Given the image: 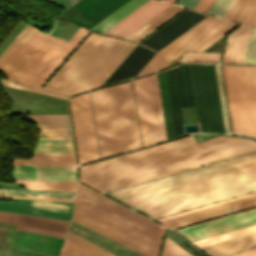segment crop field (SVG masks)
<instances>
[{
  "label": "crop field",
  "instance_id": "1",
  "mask_svg": "<svg viewBox=\"0 0 256 256\" xmlns=\"http://www.w3.org/2000/svg\"><path fill=\"white\" fill-rule=\"evenodd\" d=\"M256 191V152L105 193L152 219Z\"/></svg>",
  "mask_w": 256,
  "mask_h": 256
},
{
  "label": "crop field",
  "instance_id": "2",
  "mask_svg": "<svg viewBox=\"0 0 256 256\" xmlns=\"http://www.w3.org/2000/svg\"><path fill=\"white\" fill-rule=\"evenodd\" d=\"M135 45L91 33L44 89L72 96L99 87Z\"/></svg>",
  "mask_w": 256,
  "mask_h": 256
},
{
  "label": "crop field",
  "instance_id": "3",
  "mask_svg": "<svg viewBox=\"0 0 256 256\" xmlns=\"http://www.w3.org/2000/svg\"><path fill=\"white\" fill-rule=\"evenodd\" d=\"M120 152L140 148L131 81L110 87ZM109 87L90 93L100 156L119 152Z\"/></svg>",
  "mask_w": 256,
  "mask_h": 256
},
{
  "label": "crop field",
  "instance_id": "4",
  "mask_svg": "<svg viewBox=\"0 0 256 256\" xmlns=\"http://www.w3.org/2000/svg\"><path fill=\"white\" fill-rule=\"evenodd\" d=\"M87 32L80 27L66 42L34 28L2 63L0 71L12 80L40 87Z\"/></svg>",
  "mask_w": 256,
  "mask_h": 256
},
{
  "label": "crop field",
  "instance_id": "5",
  "mask_svg": "<svg viewBox=\"0 0 256 256\" xmlns=\"http://www.w3.org/2000/svg\"><path fill=\"white\" fill-rule=\"evenodd\" d=\"M244 140L220 136L196 144L190 136L81 166L80 181L87 184Z\"/></svg>",
  "mask_w": 256,
  "mask_h": 256
},
{
  "label": "crop field",
  "instance_id": "6",
  "mask_svg": "<svg viewBox=\"0 0 256 256\" xmlns=\"http://www.w3.org/2000/svg\"><path fill=\"white\" fill-rule=\"evenodd\" d=\"M255 150L256 142L248 140L87 185L104 193Z\"/></svg>",
  "mask_w": 256,
  "mask_h": 256
},
{
  "label": "crop field",
  "instance_id": "7",
  "mask_svg": "<svg viewBox=\"0 0 256 256\" xmlns=\"http://www.w3.org/2000/svg\"><path fill=\"white\" fill-rule=\"evenodd\" d=\"M222 68L233 134L256 138V66Z\"/></svg>",
  "mask_w": 256,
  "mask_h": 256
},
{
  "label": "crop field",
  "instance_id": "8",
  "mask_svg": "<svg viewBox=\"0 0 256 256\" xmlns=\"http://www.w3.org/2000/svg\"><path fill=\"white\" fill-rule=\"evenodd\" d=\"M196 107L189 108L200 133H225L214 64H189ZM186 109L188 123L189 115ZM183 123H187L183 108Z\"/></svg>",
  "mask_w": 256,
  "mask_h": 256
},
{
  "label": "crop field",
  "instance_id": "9",
  "mask_svg": "<svg viewBox=\"0 0 256 256\" xmlns=\"http://www.w3.org/2000/svg\"><path fill=\"white\" fill-rule=\"evenodd\" d=\"M206 14L184 10L142 43L125 59L103 85L133 78L152 56L166 44L203 19ZM102 85V86H103Z\"/></svg>",
  "mask_w": 256,
  "mask_h": 256
},
{
  "label": "crop field",
  "instance_id": "10",
  "mask_svg": "<svg viewBox=\"0 0 256 256\" xmlns=\"http://www.w3.org/2000/svg\"><path fill=\"white\" fill-rule=\"evenodd\" d=\"M238 24L207 16L188 31L165 46L146 64L139 75L168 66L170 61L185 51H202L234 29ZM173 61V60H172Z\"/></svg>",
  "mask_w": 256,
  "mask_h": 256
},
{
  "label": "crop field",
  "instance_id": "11",
  "mask_svg": "<svg viewBox=\"0 0 256 256\" xmlns=\"http://www.w3.org/2000/svg\"><path fill=\"white\" fill-rule=\"evenodd\" d=\"M72 220L145 256H158L160 243L76 201Z\"/></svg>",
  "mask_w": 256,
  "mask_h": 256
},
{
  "label": "crop field",
  "instance_id": "12",
  "mask_svg": "<svg viewBox=\"0 0 256 256\" xmlns=\"http://www.w3.org/2000/svg\"><path fill=\"white\" fill-rule=\"evenodd\" d=\"M143 146L165 141L156 73L133 81Z\"/></svg>",
  "mask_w": 256,
  "mask_h": 256
},
{
  "label": "crop field",
  "instance_id": "13",
  "mask_svg": "<svg viewBox=\"0 0 256 256\" xmlns=\"http://www.w3.org/2000/svg\"><path fill=\"white\" fill-rule=\"evenodd\" d=\"M76 201L161 243L164 227L77 185Z\"/></svg>",
  "mask_w": 256,
  "mask_h": 256
},
{
  "label": "crop field",
  "instance_id": "14",
  "mask_svg": "<svg viewBox=\"0 0 256 256\" xmlns=\"http://www.w3.org/2000/svg\"><path fill=\"white\" fill-rule=\"evenodd\" d=\"M79 162L99 158L88 93L69 99Z\"/></svg>",
  "mask_w": 256,
  "mask_h": 256
},
{
  "label": "crop field",
  "instance_id": "15",
  "mask_svg": "<svg viewBox=\"0 0 256 256\" xmlns=\"http://www.w3.org/2000/svg\"><path fill=\"white\" fill-rule=\"evenodd\" d=\"M168 139L182 136L183 125L174 69L158 73Z\"/></svg>",
  "mask_w": 256,
  "mask_h": 256
},
{
  "label": "crop field",
  "instance_id": "16",
  "mask_svg": "<svg viewBox=\"0 0 256 256\" xmlns=\"http://www.w3.org/2000/svg\"><path fill=\"white\" fill-rule=\"evenodd\" d=\"M0 198L18 200L0 201V211L51 217L70 221L73 203L4 197Z\"/></svg>",
  "mask_w": 256,
  "mask_h": 256
},
{
  "label": "crop field",
  "instance_id": "17",
  "mask_svg": "<svg viewBox=\"0 0 256 256\" xmlns=\"http://www.w3.org/2000/svg\"><path fill=\"white\" fill-rule=\"evenodd\" d=\"M256 223V209L176 230L190 241Z\"/></svg>",
  "mask_w": 256,
  "mask_h": 256
},
{
  "label": "crop field",
  "instance_id": "18",
  "mask_svg": "<svg viewBox=\"0 0 256 256\" xmlns=\"http://www.w3.org/2000/svg\"><path fill=\"white\" fill-rule=\"evenodd\" d=\"M63 240L64 239L61 238L48 237L12 229L5 244L58 255ZM2 249L29 256H44L6 247H3Z\"/></svg>",
  "mask_w": 256,
  "mask_h": 256
},
{
  "label": "crop field",
  "instance_id": "19",
  "mask_svg": "<svg viewBox=\"0 0 256 256\" xmlns=\"http://www.w3.org/2000/svg\"><path fill=\"white\" fill-rule=\"evenodd\" d=\"M254 206H256V195L161 222L174 229Z\"/></svg>",
  "mask_w": 256,
  "mask_h": 256
},
{
  "label": "crop field",
  "instance_id": "20",
  "mask_svg": "<svg viewBox=\"0 0 256 256\" xmlns=\"http://www.w3.org/2000/svg\"><path fill=\"white\" fill-rule=\"evenodd\" d=\"M169 5L170 4L156 0H149L147 3L107 30L105 34L125 38Z\"/></svg>",
  "mask_w": 256,
  "mask_h": 256
},
{
  "label": "crop field",
  "instance_id": "21",
  "mask_svg": "<svg viewBox=\"0 0 256 256\" xmlns=\"http://www.w3.org/2000/svg\"><path fill=\"white\" fill-rule=\"evenodd\" d=\"M12 177L76 182V169L13 165Z\"/></svg>",
  "mask_w": 256,
  "mask_h": 256
},
{
  "label": "crop field",
  "instance_id": "22",
  "mask_svg": "<svg viewBox=\"0 0 256 256\" xmlns=\"http://www.w3.org/2000/svg\"><path fill=\"white\" fill-rule=\"evenodd\" d=\"M34 123L39 136L71 137L68 115H22L17 116Z\"/></svg>",
  "mask_w": 256,
  "mask_h": 256
},
{
  "label": "crop field",
  "instance_id": "23",
  "mask_svg": "<svg viewBox=\"0 0 256 256\" xmlns=\"http://www.w3.org/2000/svg\"><path fill=\"white\" fill-rule=\"evenodd\" d=\"M78 236L100 246L115 256H141L75 222L72 221L70 230Z\"/></svg>",
  "mask_w": 256,
  "mask_h": 256
},
{
  "label": "crop field",
  "instance_id": "24",
  "mask_svg": "<svg viewBox=\"0 0 256 256\" xmlns=\"http://www.w3.org/2000/svg\"><path fill=\"white\" fill-rule=\"evenodd\" d=\"M0 221L34 226V227L64 232V233H66L70 223L68 221H62L57 219L34 217V216H27V215L6 213V212H2Z\"/></svg>",
  "mask_w": 256,
  "mask_h": 256
},
{
  "label": "crop field",
  "instance_id": "25",
  "mask_svg": "<svg viewBox=\"0 0 256 256\" xmlns=\"http://www.w3.org/2000/svg\"><path fill=\"white\" fill-rule=\"evenodd\" d=\"M251 28L242 26L228 40L223 63L242 64Z\"/></svg>",
  "mask_w": 256,
  "mask_h": 256
},
{
  "label": "crop field",
  "instance_id": "26",
  "mask_svg": "<svg viewBox=\"0 0 256 256\" xmlns=\"http://www.w3.org/2000/svg\"><path fill=\"white\" fill-rule=\"evenodd\" d=\"M253 246H256V232L201 249L211 256H225Z\"/></svg>",
  "mask_w": 256,
  "mask_h": 256
},
{
  "label": "crop field",
  "instance_id": "27",
  "mask_svg": "<svg viewBox=\"0 0 256 256\" xmlns=\"http://www.w3.org/2000/svg\"><path fill=\"white\" fill-rule=\"evenodd\" d=\"M224 19L256 26V0H234Z\"/></svg>",
  "mask_w": 256,
  "mask_h": 256
},
{
  "label": "crop field",
  "instance_id": "28",
  "mask_svg": "<svg viewBox=\"0 0 256 256\" xmlns=\"http://www.w3.org/2000/svg\"><path fill=\"white\" fill-rule=\"evenodd\" d=\"M32 153L74 155L71 138L40 137Z\"/></svg>",
  "mask_w": 256,
  "mask_h": 256
},
{
  "label": "crop field",
  "instance_id": "29",
  "mask_svg": "<svg viewBox=\"0 0 256 256\" xmlns=\"http://www.w3.org/2000/svg\"><path fill=\"white\" fill-rule=\"evenodd\" d=\"M174 69L181 107L195 106L188 64L182 63Z\"/></svg>",
  "mask_w": 256,
  "mask_h": 256
},
{
  "label": "crop field",
  "instance_id": "30",
  "mask_svg": "<svg viewBox=\"0 0 256 256\" xmlns=\"http://www.w3.org/2000/svg\"><path fill=\"white\" fill-rule=\"evenodd\" d=\"M13 164L76 168L74 156L34 154L30 160L14 159Z\"/></svg>",
  "mask_w": 256,
  "mask_h": 256
},
{
  "label": "crop field",
  "instance_id": "31",
  "mask_svg": "<svg viewBox=\"0 0 256 256\" xmlns=\"http://www.w3.org/2000/svg\"><path fill=\"white\" fill-rule=\"evenodd\" d=\"M146 1L130 0L90 29L103 33Z\"/></svg>",
  "mask_w": 256,
  "mask_h": 256
},
{
  "label": "crop field",
  "instance_id": "32",
  "mask_svg": "<svg viewBox=\"0 0 256 256\" xmlns=\"http://www.w3.org/2000/svg\"><path fill=\"white\" fill-rule=\"evenodd\" d=\"M16 182L29 189L41 190H57L75 192L76 183L69 182H53V181H37V180H21L15 179Z\"/></svg>",
  "mask_w": 256,
  "mask_h": 256
},
{
  "label": "crop field",
  "instance_id": "33",
  "mask_svg": "<svg viewBox=\"0 0 256 256\" xmlns=\"http://www.w3.org/2000/svg\"><path fill=\"white\" fill-rule=\"evenodd\" d=\"M253 231H256V224L250 225V226H247V227H243V228H239V229H236V230L228 231V232H225V233H221V234H218V235L210 236V237L203 238V239H200V240L192 241V243H194L196 246L201 248V247L213 244V243H217V242H220V241H223V240H226V239H229V238H233V237H236V236H239V235H243V234H246V233H250V232H253Z\"/></svg>",
  "mask_w": 256,
  "mask_h": 256
},
{
  "label": "crop field",
  "instance_id": "34",
  "mask_svg": "<svg viewBox=\"0 0 256 256\" xmlns=\"http://www.w3.org/2000/svg\"><path fill=\"white\" fill-rule=\"evenodd\" d=\"M0 194H13V195H28L60 199H74L75 194L70 193H57V192H41L31 190H17V189H0Z\"/></svg>",
  "mask_w": 256,
  "mask_h": 256
},
{
  "label": "crop field",
  "instance_id": "35",
  "mask_svg": "<svg viewBox=\"0 0 256 256\" xmlns=\"http://www.w3.org/2000/svg\"><path fill=\"white\" fill-rule=\"evenodd\" d=\"M182 9H183V7H179V6L174 7L168 13L163 15L161 18H159L154 23H152L150 26H148L143 31H141L136 36H134L131 40L136 41V42L141 41L143 38H145L147 35H149L151 32H153L155 29H157L159 26H161L163 23H165L167 20H169L171 17H173L175 14H177Z\"/></svg>",
  "mask_w": 256,
  "mask_h": 256
},
{
  "label": "crop field",
  "instance_id": "36",
  "mask_svg": "<svg viewBox=\"0 0 256 256\" xmlns=\"http://www.w3.org/2000/svg\"><path fill=\"white\" fill-rule=\"evenodd\" d=\"M66 239L80 245L81 247L95 253L98 256H113V255L109 254L108 252L98 248L97 246L89 243L88 241L74 235L71 232H68V235H67Z\"/></svg>",
  "mask_w": 256,
  "mask_h": 256
},
{
  "label": "crop field",
  "instance_id": "37",
  "mask_svg": "<svg viewBox=\"0 0 256 256\" xmlns=\"http://www.w3.org/2000/svg\"><path fill=\"white\" fill-rule=\"evenodd\" d=\"M161 256H194L191 253L187 252L175 242L166 238L164 249Z\"/></svg>",
  "mask_w": 256,
  "mask_h": 256
},
{
  "label": "crop field",
  "instance_id": "38",
  "mask_svg": "<svg viewBox=\"0 0 256 256\" xmlns=\"http://www.w3.org/2000/svg\"><path fill=\"white\" fill-rule=\"evenodd\" d=\"M243 64H256V29L251 30Z\"/></svg>",
  "mask_w": 256,
  "mask_h": 256
},
{
  "label": "crop field",
  "instance_id": "39",
  "mask_svg": "<svg viewBox=\"0 0 256 256\" xmlns=\"http://www.w3.org/2000/svg\"><path fill=\"white\" fill-rule=\"evenodd\" d=\"M32 29H33V27H31L28 24L25 26V28L20 32V34L13 40V42L0 55V65L10 55V53L20 44V42L28 35V33Z\"/></svg>",
  "mask_w": 256,
  "mask_h": 256
},
{
  "label": "crop field",
  "instance_id": "40",
  "mask_svg": "<svg viewBox=\"0 0 256 256\" xmlns=\"http://www.w3.org/2000/svg\"><path fill=\"white\" fill-rule=\"evenodd\" d=\"M232 1L233 0H216L207 13L223 18Z\"/></svg>",
  "mask_w": 256,
  "mask_h": 256
},
{
  "label": "crop field",
  "instance_id": "41",
  "mask_svg": "<svg viewBox=\"0 0 256 256\" xmlns=\"http://www.w3.org/2000/svg\"><path fill=\"white\" fill-rule=\"evenodd\" d=\"M255 194H256V192L245 194V195H242V196L234 197V198L227 199V200H224V201H221V202H217V203H214V204L202 206V207H199V208L191 209V210H188V211H184V212H181V213L173 214V215L166 216V217L159 218V219H155V220L161 221V220L169 219V218H172V217H176V216L187 214V213L194 212V211H197V210H201V209H205V208H208V207L216 206V205H219V204L234 201V200L241 199V198L248 197V196H252V195H255Z\"/></svg>",
  "mask_w": 256,
  "mask_h": 256
},
{
  "label": "crop field",
  "instance_id": "42",
  "mask_svg": "<svg viewBox=\"0 0 256 256\" xmlns=\"http://www.w3.org/2000/svg\"><path fill=\"white\" fill-rule=\"evenodd\" d=\"M62 250L66 251L74 256H96L68 240H65Z\"/></svg>",
  "mask_w": 256,
  "mask_h": 256
},
{
  "label": "crop field",
  "instance_id": "43",
  "mask_svg": "<svg viewBox=\"0 0 256 256\" xmlns=\"http://www.w3.org/2000/svg\"><path fill=\"white\" fill-rule=\"evenodd\" d=\"M1 81H2V84H4V85L13 86V87L21 88V89H26V90H30V91H35V92H39V93L48 94V95L57 96V97L67 99L66 96L54 94V93L47 92V91H44V90H41V89H37V88L17 84V83H14V82H11V81H8V80H4V79H1Z\"/></svg>",
  "mask_w": 256,
  "mask_h": 256
},
{
  "label": "crop field",
  "instance_id": "44",
  "mask_svg": "<svg viewBox=\"0 0 256 256\" xmlns=\"http://www.w3.org/2000/svg\"><path fill=\"white\" fill-rule=\"evenodd\" d=\"M17 229L24 230V231H29V232H34V233H39V234H44V235H48V236L61 237V238H64L65 235H66L64 233L53 232V231H48V230L23 226V225H19Z\"/></svg>",
  "mask_w": 256,
  "mask_h": 256
},
{
  "label": "crop field",
  "instance_id": "45",
  "mask_svg": "<svg viewBox=\"0 0 256 256\" xmlns=\"http://www.w3.org/2000/svg\"><path fill=\"white\" fill-rule=\"evenodd\" d=\"M215 67H216V73H217V79H218V86H219V92H220V98H221V105H222V111H223V118H224L225 130H226V133H229L228 123H227V117H226V111H225V105H224V99H223L222 88H221V82H220L219 69H218V66H217V65H215Z\"/></svg>",
  "mask_w": 256,
  "mask_h": 256
},
{
  "label": "crop field",
  "instance_id": "46",
  "mask_svg": "<svg viewBox=\"0 0 256 256\" xmlns=\"http://www.w3.org/2000/svg\"><path fill=\"white\" fill-rule=\"evenodd\" d=\"M174 7V5L169 6L167 9H165L164 11H162L161 13H159L157 16H155L154 18H152L150 21H148L147 23H145L143 26H141L140 28H138L137 30H135L133 33H131L128 37H126L127 39L132 38L134 35H136L138 32H140L141 30H143L145 27H147L148 25H150L152 22H154L156 19H158L159 17H161L163 14H165L166 12H168L170 9H172Z\"/></svg>",
  "mask_w": 256,
  "mask_h": 256
},
{
  "label": "crop field",
  "instance_id": "47",
  "mask_svg": "<svg viewBox=\"0 0 256 256\" xmlns=\"http://www.w3.org/2000/svg\"><path fill=\"white\" fill-rule=\"evenodd\" d=\"M213 2L214 0H200L198 5L195 7V10L206 13Z\"/></svg>",
  "mask_w": 256,
  "mask_h": 256
},
{
  "label": "crop field",
  "instance_id": "48",
  "mask_svg": "<svg viewBox=\"0 0 256 256\" xmlns=\"http://www.w3.org/2000/svg\"><path fill=\"white\" fill-rule=\"evenodd\" d=\"M198 2L199 0H179L177 2V5L194 9V7L197 5Z\"/></svg>",
  "mask_w": 256,
  "mask_h": 256
},
{
  "label": "crop field",
  "instance_id": "49",
  "mask_svg": "<svg viewBox=\"0 0 256 256\" xmlns=\"http://www.w3.org/2000/svg\"><path fill=\"white\" fill-rule=\"evenodd\" d=\"M230 256H256V247L230 255Z\"/></svg>",
  "mask_w": 256,
  "mask_h": 256
},
{
  "label": "crop field",
  "instance_id": "50",
  "mask_svg": "<svg viewBox=\"0 0 256 256\" xmlns=\"http://www.w3.org/2000/svg\"><path fill=\"white\" fill-rule=\"evenodd\" d=\"M52 3H55L57 5H60L64 8H66L67 6H69L72 2H74V0H48Z\"/></svg>",
  "mask_w": 256,
  "mask_h": 256
},
{
  "label": "crop field",
  "instance_id": "51",
  "mask_svg": "<svg viewBox=\"0 0 256 256\" xmlns=\"http://www.w3.org/2000/svg\"><path fill=\"white\" fill-rule=\"evenodd\" d=\"M0 196L17 197V198H30V199L59 200V201H69V202H73L74 201V200H60V199H49V198L28 197V196H6V195H0Z\"/></svg>",
  "mask_w": 256,
  "mask_h": 256
},
{
  "label": "crop field",
  "instance_id": "52",
  "mask_svg": "<svg viewBox=\"0 0 256 256\" xmlns=\"http://www.w3.org/2000/svg\"><path fill=\"white\" fill-rule=\"evenodd\" d=\"M60 256H72V255H70V254H68V253H66V252H64V251H61Z\"/></svg>",
  "mask_w": 256,
  "mask_h": 256
},
{
  "label": "crop field",
  "instance_id": "53",
  "mask_svg": "<svg viewBox=\"0 0 256 256\" xmlns=\"http://www.w3.org/2000/svg\"><path fill=\"white\" fill-rule=\"evenodd\" d=\"M164 1H168V2L174 3L175 0H164Z\"/></svg>",
  "mask_w": 256,
  "mask_h": 256
}]
</instances>
